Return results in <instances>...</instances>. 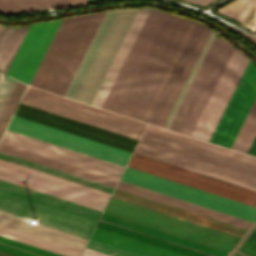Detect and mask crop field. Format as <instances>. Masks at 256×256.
<instances>
[{
    "label": "crop field",
    "mask_w": 256,
    "mask_h": 256,
    "mask_svg": "<svg viewBox=\"0 0 256 256\" xmlns=\"http://www.w3.org/2000/svg\"><path fill=\"white\" fill-rule=\"evenodd\" d=\"M26 93H29V94H32L35 96H39V97H42V98H45V99H48V100H51V101H54L57 103H61V104H64V105H67V106H70V107H73V108H76V109H79L82 111H86V112H89V113H92V114H95V115H98V116H101V117H104L107 119H111V120L129 125V126H133V127H136V128L142 129V130L144 129V127L146 125L144 123H141V122H138L135 120H131V119H128V118H125V117H122V116H119V115H116L113 113H109V112H106V111H103V110H100V109H97V108H94L91 106H87V105H84V104H81V103H78V102H75V101H72V100H69L66 98H62V97H59V96H56V95H53V94H50V93H47L44 91H40V90L31 88V87H28V89L26 90Z\"/></svg>",
    "instance_id": "crop-field-30"
},
{
    "label": "crop field",
    "mask_w": 256,
    "mask_h": 256,
    "mask_svg": "<svg viewBox=\"0 0 256 256\" xmlns=\"http://www.w3.org/2000/svg\"><path fill=\"white\" fill-rule=\"evenodd\" d=\"M1 143L119 179L124 167L6 130Z\"/></svg>",
    "instance_id": "crop-field-13"
},
{
    "label": "crop field",
    "mask_w": 256,
    "mask_h": 256,
    "mask_svg": "<svg viewBox=\"0 0 256 256\" xmlns=\"http://www.w3.org/2000/svg\"><path fill=\"white\" fill-rule=\"evenodd\" d=\"M204 27L205 26L203 24L197 23V25H196V27H195V29H194L191 37H190V39H189L181 57H180L177 65H176L173 73L171 74V76H170V78H169V80H168V82H167V84H166V86H165V88H164V90H163V92H162V94H161V96H160V98H159V100H158V102H157L149 120H148L149 123L155 124V122H156V120H157V118H158L166 100L168 99V97H169V95H170V93H171L179 75L181 74V72H182V70H183L191 52L193 51V49H194L202 31L204 29Z\"/></svg>",
    "instance_id": "crop-field-27"
},
{
    "label": "crop field",
    "mask_w": 256,
    "mask_h": 256,
    "mask_svg": "<svg viewBox=\"0 0 256 256\" xmlns=\"http://www.w3.org/2000/svg\"><path fill=\"white\" fill-rule=\"evenodd\" d=\"M221 23H223V22H221ZM223 24H225V23H223ZM225 25H227V24H225ZM227 26L230 27V28H232V29H234V30L237 31L238 33L242 34L243 36H245V37L248 38L249 40L253 41L254 43H256V37H255V36H252V35H250V34H248V33H245V32H243V31H241V30H238V29H236V28H234V27H232V26H229V25H227Z\"/></svg>",
    "instance_id": "crop-field-46"
},
{
    "label": "crop field",
    "mask_w": 256,
    "mask_h": 256,
    "mask_svg": "<svg viewBox=\"0 0 256 256\" xmlns=\"http://www.w3.org/2000/svg\"><path fill=\"white\" fill-rule=\"evenodd\" d=\"M135 153L256 190V178L139 142Z\"/></svg>",
    "instance_id": "crop-field-15"
},
{
    "label": "crop field",
    "mask_w": 256,
    "mask_h": 256,
    "mask_svg": "<svg viewBox=\"0 0 256 256\" xmlns=\"http://www.w3.org/2000/svg\"><path fill=\"white\" fill-rule=\"evenodd\" d=\"M248 154L256 156V137H255V139H254V141H253V143H252V145H251V147L248 151Z\"/></svg>",
    "instance_id": "crop-field-48"
},
{
    "label": "crop field",
    "mask_w": 256,
    "mask_h": 256,
    "mask_svg": "<svg viewBox=\"0 0 256 256\" xmlns=\"http://www.w3.org/2000/svg\"><path fill=\"white\" fill-rule=\"evenodd\" d=\"M104 14L62 20L30 86L64 95Z\"/></svg>",
    "instance_id": "crop-field-2"
},
{
    "label": "crop field",
    "mask_w": 256,
    "mask_h": 256,
    "mask_svg": "<svg viewBox=\"0 0 256 256\" xmlns=\"http://www.w3.org/2000/svg\"><path fill=\"white\" fill-rule=\"evenodd\" d=\"M136 12H106L65 96L91 104Z\"/></svg>",
    "instance_id": "crop-field-3"
},
{
    "label": "crop field",
    "mask_w": 256,
    "mask_h": 256,
    "mask_svg": "<svg viewBox=\"0 0 256 256\" xmlns=\"http://www.w3.org/2000/svg\"><path fill=\"white\" fill-rule=\"evenodd\" d=\"M0 162L11 165V166H14V167H18V168H21V169H24V170H27V171H30V172H34V173H37V174H40V175H43V176H46V177H50V178H53V179H56V180H59V181L65 182V183H69V184H72V185H75V186H78V187H81V188H85V189H88V190H91V191H94V192H97V193H101V194H104V195H107V196L110 195L109 193H106V192H103V191H99V190H96V189H93V188H90V187H87V186H83V185H80V184H77V183H74V182H71V181H67V180H64V179H61V178H58V177H55V176H51V175H48V174H45V173H42V172H39V171H36V170H32V169H29V168H26V167H23V166H20V165H16V164L4 161V160H0Z\"/></svg>",
    "instance_id": "crop-field-44"
},
{
    "label": "crop field",
    "mask_w": 256,
    "mask_h": 256,
    "mask_svg": "<svg viewBox=\"0 0 256 256\" xmlns=\"http://www.w3.org/2000/svg\"><path fill=\"white\" fill-rule=\"evenodd\" d=\"M105 212L230 251L239 238L110 199Z\"/></svg>",
    "instance_id": "crop-field-6"
},
{
    "label": "crop field",
    "mask_w": 256,
    "mask_h": 256,
    "mask_svg": "<svg viewBox=\"0 0 256 256\" xmlns=\"http://www.w3.org/2000/svg\"><path fill=\"white\" fill-rule=\"evenodd\" d=\"M149 9L138 10L93 102L92 105L101 107Z\"/></svg>",
    "instance_id": "crop-field-23"
},
{
    "label": "crop field",
    "mask_w": 256,
    "mask_h": 256,
    "mask_svg": "<svg viewBox=\"0 0 256 256\" xmlns=\"http://www.w3.org/2000/svg\"><path fill=\"white\" fill-rule=\"evenodd\" d=\"M3 77H4V76L0 74V83H1V81H2V79H3Z\"/></svg>",
    "instance_id": "crop-field-52"
},
{
    "label": "crop field",
    "mask_w": 256,
    "mask_h": 256,
    "mask_svg": "<svg viewBox=\"0 0 256 256\" xmlns=\"http://www.w3.org/2000/svg\"><path fill=\"white\" fill-rule=\"evenodd\" d=\"M112 198L241 238L246 229L115 189Z\"/></svg>",
    "instance_id": "crop-field-19"
},
{
    "label": "crop field",
    "mask_w": 256,
    "mask_h": 256,
    "mask_svg": "<svg viewBox=\"0 0 256 256\" xmlns=\"http://www.w3.org/2000/svg\"><path fill=\"white\" fill-rule=\"evenodd\" d=\"M256 0H236L220 9L218 12L241 23Z\"/></svg>",
    "instance_id": "crop-field-41"
},
{
    "label": "crop field",
    "mask_w": 256,
    "mask_h": 256,
    "mask_svg": "<svg viewBox=\"0 0 256 256\" xmlns=\"http://www.w3.org/2000/svg\"><path fill=\"white\" fill-rule=\"evenodd\" d=\"M0 179L102 211L108 197L0 163Z\"/></svg>",
    "instance_id": "crop-field-11"
},
{
    "label": "crop field",
    "mask_w": 256,
    "mask_h": 256,
    "mask_svg": "<svg viewBox=\"0 0 256 256\" xmlns=\"http://www.w3.org/2000/svg\"><path fill=\"white\" fill-rule=\"evenodd\" d=\"M26 85L20 82H16L1 114H0V137L6 127Z\"/></svg>",
    "instance_id": "crop-field-39"
},
{
    "label": "crop field",
    "mask_w": 256,
    "mask_h": 256,
    "mask_svg": "<svg viewBox=\"0 0 256 256\" xmlns=\"http://www.w3.org/2000/svg\"><path fill=\"white\" fill-rule=\"evenodd\" d=\"M248 61L233 48L190 136L209 141Z\"/></svg>",
    "instance_id": "crop-field-7"
},
{
    "label": "crop field",
    "mask_w": 256,
    "mask_h": 256,
    "mask_svg": "<svg viewBox=\"0 0 256 256\" xmlns=\"http://www.w3.org/2000/svg\"><path fill=\"white\" fill-rule=\"evenodd\" d=\"M0 225L9 227L36 237H40L64 246H68L77 250H82L86 239L79 238L70 234H66L60 231H56L43 226H36L26 222L20 221V218H16L10 215L0 213Z\"/></svg>",
    "instance_id": "crop-field-22"
},
{
    "label": "crop field",
    "mask_w": 256,
    "mask_h": 256,
    "mask_svg": "<svg viewBox=\"0 0 256 256\" xmlns=\"http://www.w3.org/2000/svg\"><path fill=\"white\" fill-rule=\"evenodd\" d=\"M0 256H15V255H11V254L0 251Z\"/></svg>",
    "instance_id": "crop-field-50"
},
{
    "label": "crop field",
    "mask_w": 256,
    "mask_h": 256,
    "mask_svg": "<svg viewBox=\"0 0 256 256\" xmlns=\"http://www.w3.org/2000/svg\"><path fill=\"white\" fill-rule=\"evenodd\" d=\"M15 115L132 151L136 140L19 104Z\"/></svg>",
    "instance_id": "crop-field-16"
},
{
    "label": "crop field",
    "mask_w": 256,
    "mask_h": 256,
    "mask_svg": "<svg viewBox=\"0 0 256 256\" xmlns=\"http://www.w3.org/2000/svg\"><path fill=\"white\" fill-rule=\"evenodd\" d=\"M232 48L222 39L214 37L169 129L189 135Z\"/></svg>",
    "instance_id": "crop-field-5"
},
{
    "label": "crop field",
    "mask_w": 256,
    "mask_h": 256,
    "mask_svg": "<svg viewBox=\"0 0 256 256\" xmlns=\"http://www.w3.org/2000/svg\"><path fill=\"white\" fill-rule=\"evenodd\" d=\"M0 191L14 195L35 203H39L60 211H64L82 218H86L92 221H97L100 212L93 211L81 206H77L65 201H61L52 197H48L36 192H32L23 188H19L7 183L0 182Z\"/></svg>",
    "instance_id": "crop-field-24"
},
{
    "label": "crop field",
    "mask_w": 256,
    "mask_h": 256,
    "mask_svg": "<svg viewBox=\"0 0 256 256\" xmlns=\"http://www.w3.org/2000/svg\"><path fill=\"white\" fill-rule=\"evenodd\" d=\"M146 131L153 132V133L165 136V137H169V138L181 141V142H185V143L197 146V147H201V148L213 151V152H217V153H220V154H223V155H226L229 157H233V158L256 165V158L246 156V155H243V154H240L237 152H233V151L221 148V147H217V146L205 143V142H201V141L189 138V137H185V136H182V135H179V134L167 131V130H163V129H160V128H157V127H154L151 125L147 126Z\"/></svg>",
    "instance_id": "crop-field-35"
},
{
    "label": "crop field",
    "mask_w": 256,
    "mask_h": 256,
    "mask_svg": "<svg viewBox=\"0 0 256 256\" xmlns=\"http://www.w3.org/2000/svg\"><path fill=\"white\" fill-rule=\"evenodd\" d=\"M141 142L256 177V166L144 131Z\"/></svg>",
    "instance_id": "crop-field-18"
},
{
    "label": "crop field",
    "mask_w": 256,
    "mask_h": 256,
    "mask_svg": "<svg viewBox=\"0 0 256 256\" xmlns=\"http://www.w3.org/2000/svg\"><path fill=\"white\" fill-rule=\"evenodd\" d=\"M128 167L256 207V191L133 153ZM126 168L121 181L254 222L256 208Z\"/></svg>",
    "instance_id": "crop-field-1"
},
{
    "label": "crop field",
    "mask_w": 256,
    "mask_h": 256,
    "mask_svg": "<svg viewBox=\"0 0 256 256\" xmlns=\"http://www.w3.org/2000/svg\"><path fill=\"white\" fill-rule=\"evenodd\" d=\"M228 256H256V223Z\"/></svg>",
    "instance_id": "crop-field-40"
},
{
    "label": "crop field",
    "mask_w": 256,
    "mask_h": 256,
    "mask_svg": "<svg viewBox=\"0 0 256 256\" xmlns=\"http://www.w3.org/2000/svg\"><path fill=\"white\" fill-rule=\"evenodd\" d=\"M215 34L216 33L211 31L205 45H204V47H203L195 65H194V67H193V69H192V71H191V73H190V75H189V77H188V79H187V81H186V83H185V85H184V87H183V89H182V91H181V93H180V95H179V97H178V99H177V101H176V103H175V105H174V107H173L165 125H164L165 128H168V126H169V124H170V122H171V120H172V118H173V116H174V114H175V112H176V110H177V108H178V106H179V104H180V102H181V100H182L190 82L192 81V79H193V77H194V75H195V73H196V71H197V69H198V67H199V65H200V63H201V61H202V59H203V57H204V55H205V53H206V51H207V49H208V47H209V45H210V43H211Z\"/></svg>",
    "instance_id": "crop-field-42"
},
{
    "label": "crop field",
    "mask_w": 256,
    "mask_h": 256,
    "mask_svg": "<svg viewBox=\"0 0 256 256\" xmlns=\"http://www.w3.org/2000/svg\"><path fill=\"white\" fill-rule=\"evenodd\" d=\"M117 189L124 190V191L130 192V193L136 194V195H140V196H143V197H146L149 199H153V200L165 203V204H169V205H172V206H175L178 208H182V209L194 212V213H198V214H201V215H204V216H207L210 218H214V219H217V220H220L223 222H227V223H230V224H233V225H236L239 227H243L246 229H248L250 227V225L252 224V222H249L246 220H242V219L230 216V215H226V214L214 211V210H210V209L198 206V205H194V204H191V203L179 200V199H175V198H172V197H169V196H166L163 194H159V193L147 190V189H143V188L131 185V184H127V183H124L121 181L119 182Z\"/></svg>",
    "instance_id": "crop-field-20"
},
{
    "label": "crop field",
    "mask_w": 256,
    "mask_h": 256,
    "mask_svg": "<svg viewBox=\"0 0 256 256\" xmlns=\"http://www.w3.org/2000/svg\"><path fill=\"white\" fill-rule=\"evenodd\" d=\"M15 83V80L9 78V77H5L1 86H0V111L13 87Z\"/></svg>",
    "instance_id": "crop-field-45"
},
{
    "label": "crop field",
    "mask_w": 256,
    "mask_h": 256,
    "mask_svg": "<svg viewBox=\"0 0 256 256\" xmlns=\"http://www.w3.org/2000/svg\"><path fill=\"white\" fill-rule=\"evenodd\" d=\"M90 239L143 256H185L97 227L95 228Z\"/></svg>",
    "instance_id": "crop-field-25"
},
{
    "label": "crop field",
    "mask_w": 256,
    "mask_h": 256,
    "mask_svg": "<svg viewBox=\"0 0 256 256\" xmlns=\"http://www.w3.org/2000/svg\"><path fill=\"white\" fill-rule=\"evenodd\" d=\"M84 2V0H75ZM69 0H0V13L3 15L68 6L83 5L81 2Z\"/></svg>",
    "instance_id": "crop-field-28"
},
{
    "label": "crop field",
    "mask_w": 256,
    "mask_h": 256,
    "mask_svg": "<svg viewBox=\"0 0 256 256\" xmlns=\"http://www.w3.org/2000/svg\"><path fill=\"white\" fill-rule=\"evenodd\" d=\"M97 227L148 242L189 256H226L227 252L102 214Z\"/></svg>",
    "instance_id": "crop-field-9"
},
{
    "label": "crop field",
    "mask_w": 256,
    "mask_h": 256,
    "mask_svg": "<svg viewBox=\"0 0 256 256\" xmlns=\"http://www.w3.org/2000/svg\"><path fill=\"white\" fill-rule=\"evenodd\" d=\"M0 152L7 153L10 155L19 157V158H23V159H26V160H29V161H32L35 163H39V164H42V165H45V166H48L51 168H55V169H58V170H61V171H64V172H67L70 174H74V175H77V176H80V177H83L86 179H90V180H93V181H96V182H99L102 184L112 186V187H114L115 183L117 182L116 179L106 177V176H103V175H100V174H97L94 172H90V171H87V170H84V169H81L78 167H74V166H71V165H68V164H65L62 162H58V161H55V160H52V159H49V158H46L43 156H39V155L30 153L27 151H23V150H20V149L11 147V146L1 144V143H0Z\"/></svg>",
    "instance_id": "crop-field-26"
},
{
    "label": "crop field",
    "mask_w": 256,
    "mask_h": 256,
    "mask_svg": "<svg viewBox=\"0 0 256 256\" xmlns=\"http://www.w3.org/2000/svg\"><path fill=\"white\" fill-rule=\"evenodd\" d=\"M256 97V68L249 61L210 142L230 148Z\"/></svg>",
    "instance_id": "crop-field-12"
},
{
    "label": "crop field",
    "mask_w": 256,
    "mask_h": 256,
    "mask_svg": "<svg viewBox=\"0 0 256 256\" xmlns=\"http://www.w3.org/2000/svg\"><path fill=\"white\" fill-rule=\"evenodd\" d=\"M195 25H196V22L190 21V23H189V25H188V27H187L184 35H183V37H182V39H181V41H180V43H179V45H178V47L175 51L170 63H169L166 71L164 72V74H163V76H162V78H161V80H160V82H159V84H158V86H157V88H156V90H155V92H154V94H153V96H152V98H151V100H150L142 118H141V121L147 122V120H148V118H149V116H150V114H151V112H152V110H153V108H154V106H155V104H156V102H157V100H158V98H159V96H160V94H161V92H162V90H163L171 72L173 71V69H174V67H175V65H176L184 47H185L193 29H194V27H195Z\"/></svg>",
    "instance_id": "crop-field-34"
},
{
    "label": "crop field",
    "mask_w": 256,
    "mask_h": 256,
    "mask_svg": "<svg viewBox=\"0 0 256 256\" xmlns=\"http://www.w3.org/2000/svg\"><path fill=\"white\" fill-rule=\"evenodd\" d=\"M21 104L31 106L43 111H47L59 116H63L75 121H79L94 127H98L110 132H114L126 137H130L138 140L142 130L129 127L111 120H107L86 112H82L61 104H57L39 97H35L29 94H24Z\"/></svg>",
    "instance_id": "crop-field-17"
},
{
    "label": "crop field",
    "mask_w": 256,
    "mask_h": 256,
    "mask_svg": "<svg viewBox=\"0 0 256 256\" xmlns=\"http://www.w3.org/2000/svg\"><path fill=\"white\" fill-rule=\"evenodd\" d=\"M0 210L19 217H29L41 225L88 239L95 222L60 212L0 192Z\"/></svg>",
    "instance_id": "crop-field-10"
},
{
    "label": "crop field",
    "mask_w": 256,
    "mask_h": 256,
    "mask_svg": "<svg viewBox=\"0 0 256 256\" xmlns=\"http://www.w3.org/2000/svg\"><path fill=\"white\" fill-rule=\"evenodd\" d=\"M0 159H4L7 161L16 163V164H20V165H23V166H26V167H29L32 169H36V170H39V171H42V172H45L48 174H52V175H55V176H58V177H61V178L67 179V180H71V181H74V182H77V183H80L83 185H87V186H90V187H93V188H96L99 190L109 192V193L112 190V187L102 185V184H99V183H96V182H93L90 180H86V179H83V178H80V177H77L74 175H70V174H67V173H64V172H61L58 170H54V169H51V168H48V167H45V166H42L39 164H35V163L29 162V161H26L23 159H19V158H16V157H13V156H10L7 154L0 153Z\"/></svg>",
    "instance_id": "crop-field-36"
},
{
    "label": "crop field",
    "mask_w": 256,
    "mask_h": 256,
    "mask_svg": "<svg viewBox=\"0 0 256 256\" xmlns=\"http://www.w3.org/2000/svg\"><path fill=\"white\" fill-rule=\"evenodd\" d=\"M188 1H192V2L204 5L212 0H188Z\"/></svg>",
    "instance_id": "crop-field-49"
},
{
    "label": "crop field",
    "mask_w": 256,
    "mask_h": 256,
    "mask_svg": "<svg viewBox=\"0 0 256 256\" xmlns=\"http://www.w3.org/2000/svg\"><path fill=\"white\" fill-rule=\"evenodd\" d=\"M12 121H15V122H18V123H21L24 125H28V126L52 133V134H56V135H59V136L83 143V144H87V145H90V146H93V147H96V148H99V149H102V150H105V151H108L111 153H115V154L127 157V158L129 157V155L131 153V152L123 150V149H119V148H116V147H113V146H110V145H107L104 143H100V142H97V141H94V140H91V139H88L85 137H81V136H78V135L63 131V130H59V129H56V128H53V127H50V126H47L44 124H40V123L31 121V120H28L25 118L18 117L15 115L13 116Z\"/></svg>",
    "instance_id": "crop-field-31"
},
{
    "label": "crop field",
    "mask_w": 256,
    "mask_h": 256,
    "mask_svg": "<svg viewBox=\"0 0 256 256\" xmlns=\"http://www.w3.org/2000/svg\"><path fill=\"white\" fill-rule=\"evenodd\" d=\"M93 1H96V0H86L85 4H88V3L93 2Z\"/></svg>",
    "instance_id": "crop-field-51"
},
{
    "label": "crop field",
    "mask_w": 256,
    "mask_h": 256,
    "mask_svg": "<svg viewBox=\"0 0 256 256\" xmlns=\"http://www.w3.org/2000/svg\"><path fill=\"white\" fill-rule=\"evenodd\" d=\"M0 250L18 256H60L1 236Z\"/></svg>",
    "instance_id": "crop-field-38"
},
{
    "label": "crop field",
    "mask_w": 256,
    "mask_h": 256,
    "mask_svg": "<svg viewBox=\"0 0 256 256\" xmlns=\"http://www.w3.org/2000/svg\"><path fill=\"white\" fill-rule=\"evenodd\" d=\"M165 13L150 9L102 108L117 112Z\"/></svg>",
    "instance_id": "crop-field-8"
},
{
    "label": "crop field",
    "mask_w": 256,
    "mask_h": 256,
    "mask_svg": "<svg viewBox=\"0 0 256 256\" xmlns=\"http://www.w3.org/2000/svg\"><path fill=\"white\" fill-rule=\"evenodd\" d=\"M210 31L211 30H209L208 28L205 27V29H204L197 45H196L194 51L192 52V54H191V56H190V58H189V60L186 64L181 76L179 77V79H178V81H177L169 99L166 102V104H165V106H164V108H163V110H162V112H161V114H160V116H159V118L156 122V125H159V126L162 127V125H163V123H164V121H165V119H166V117H167V115H168V113H169L177 95L179 94V92H180V90H181V88H182V86H183V84H184V82H185L193 64L195 63V61H196V59H197L205 41H206Z\"/></svg>",
    "instance_id": "crop-field-33"
},
{
    "label": "crop field",
    "mask_w": 256,
    "mask_h": 256,
    "mask_svg": "<svg viewBox=\"0 0 256 256\" xmlns=\"http://www.w3.org/2000/svg\"><path fill=\"white\" fill-rule=\"evenodd\" d=\"M28 27H0V72L6 73Z\"/></svg>",
    "instance_id": "crop-field-29"
},
{
    "label": "crop field",
    "mask_w": 256,
    "mask_h": 256,
    "mask_svg": "<svg viewBox=\"0 0 256 256\" xmlns=\"http://www.w3.org/2000/svg\"><path fill=\"white\" fill-rule=\"evenodd\" d=\"M8 130L14 131V132H18L33 138H37L52 144H56L74 151H78L93 157H97L112 163H116L119 165L124 166L127 158L115 155V154H111L87 145H83L56 135H52L28 126H24L15 122H10L8 128Z\"/></svg>",
    "instance_id": "crop-field-21"
},
{
    "label": "crop field",
    "mask_w": 256,
    "mask_h": 256,
    "mask_svg": "<svg viewBox=\"0 0 256 256\" xmlns=\"http://www.w3.org/2000/svg\"><path fill=\"white\" fill-rule=\"evenodd\" d=\"M188 23L166 14L118 113L140 120Z\"/></svg>",
    "instance_id": "crop-field-4"
},
{
    "label": "crop field",
    "mask_w": 256,
    "mask_h": 256,
    "mask_svg": "<svg viewBox=\"0 0 256 256\" xmlns=\"http://www.w3.org/2000/svg\"><path fill=\"white\" fill-rule=\"evenodd\" d=\"M86 248L99 251L111 256H138L91 240H89L88 244L86 245Z\"/></svg>",
    "instance_id": "crop-field-43"
},
{
    "label": "crop field",
    "mask_w": 256,
    "mask_h": 256,
    "mask_svg": "<svg viewBox=\"0 0 256 256\" xmlns=\"http://www.w3.org/2000/svg\"><path fill=\"white\" fill-rule=\"evenodd\" d=\"M256 134V99L249 110L231 149L247 152L254 136Z\"/></svg>",
    "instance_id": "crop-field-37"
},
{
    "label": "crop field",
    "mask_w": 256,
    "mask_h": 256,
    "mask_svg": "<svg viewBox=\"0 0 256 256\" xmlns=\"http://www.w3.org/2000/svg\"><path fill=\"white\" fill-rule=\"evenodd\" d=\"M61 20L31 25L7 75L29 85Z\"/></svg>",
    "instance_id": "crop-field-14"
},
{
    "label": "crop field",
    "mask_w": 256,
    "mask_h": 256,
    "mask_svg": "<svg viewBox=\"0 0 256 256\" xmlns=\"http://www.w3.org/2000/svg\"><path fill=\"white\" fill-rule=\"evenodd\" d=\"M82 256H108V255L87 249V250H84Z\"/></svg>",
    "instance_id": "crop-field-47"
},
{
    "label": "crop field",
    "mask_w": 256,
    "mask_h": 256,
    "mask_svg": "<svg viewBox=\"0 0 256 256\" xmlns=\"http://www.w3.org/2000/svg\"><path fill=\"white\" fill-rule=\"evenodd\" d=\"M0 235L16 240V241H20L41 249H45L63 256H79L80 255V251L68 248V247H64L40 238H36L9 228H5L0 226Z\"/></svg>",
    "instance_id": "crop-field-32"
}]
</instances>
